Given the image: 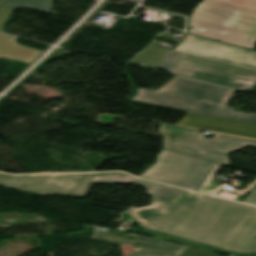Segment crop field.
Returning a JSON list of instances; mask_svg holds the SVG:
<instances>
[{
    "label": "crop field",
    "mask_w": 256,
    "mask_h": 256,
    "mask_svg": "<svg viewBox=\"0 0 256 256\" xmlns=\"http://www.w3.org/2000/svg\"><path fill=\"white\" fill-rule=\"evenodd\" d=\"M172 73L239 90L256 85V72L181 53Z\"/></svg>",
    "instance_id": "6"
},
{
    "label": "crop field",
    "mask_w": 256,
    "mask_h": 256,
    "mask_svg": "<svg viewBox=\"0 0 256 256\" xmlns=\"http://www.w3.org/2000/svg\"><path fill=\"white\" fill-rule=\"evenodd\" d=\"M174 50L256 71V52L187 34Z\"/></svg>",
    "instance_id": "8"
},
{
    "label": "crop field",
    "mask_w": 256,
    "mask_h": 256,
    "mask_svg": "<svg viewBox=\"0 0 256 256\" xmlns=\"http://www.w3.org/2000/svg\"><path fill=\"white\" fill-rule=\"evenodd\" d=\"M216 165L163 149L156 163L140 177L194 191Z\"/></svg>",
    "instance_id": "5"
},
{
    "label": "crop field",
    "mask_w": 256,
    "mask_h": 256,
    "mask_svg": "<svg viewBox=\"0 0 256 256\" xmlns=\"http://www.w3.org/2000/svg\"><path fill=\"white\" fill-rule=\"evenodd\" d=\"M220 164H218L214 170L205 178V180L199 185V187L196 189L197 192L205 193L212 195L216 192V190L219 188L218 186L209 185L212 178L214 177L216 171L218 170Z\"/></svg>",
    "instance_id": "15"
},
{
    "label": "crop field",
    "mask_w": 256,
    "mask_h": 256,
    "mask_svg": "<svg viewBox=\"0 0 256 256\" xmlns=\"http://www.w3.org/2000/svg\"><path fill=\"white\" fill-rule=\"evenodd\" d=\"M233 91L178 77L157 91L139 88L131 102L256 124V114L227 106Z\"/></svg>",
    "instance_id": "2"
},
{
    "label": "crop field",
    "mask_w": 256,
    "mask_h": 256,
    "mask_svg": "<svg viewBox=\"0 0 256 256\" xmlns=\"http://www.w3.org/2000/svg\"><path fill=\"white\" fill-rule=\"evenodd\" d=\"M190 33L254 49L256 12L240 7L202 0L190 19Z\"/></svg>",
    "instance_id": "3"
},
{
    "label": "crop field",
    "mask_w": 256,
    "mask_h": 256,
    "mask_svg": "<svg viewBox=\"0 0 256 256\" xmlns=\"http://www.w3.org/2000/svg\"><path fill=\"white\" fill-rule=\"evenodd\" d=\"M15 41L13 37L0 33V58L30 64L42 53V51L19 46L20 44L17 45Z\"/></svg>",
    "instance_id": "11"
},
{
    "label": "crop field",
    "mask_w": 256,
    "mask_h": 256,
    "mask_svg": "<svg viewBox=\"0 0 256 256\" xmlns=\"http://www.w3.org/2000/svg\"><path fill=\"white\" fill-rule=\"evenodd\" d=\"M5 1H7V0H0V4L3 3V2H5Z\"/></svg>",
    "instance_id": "22"
},
{
    "label": "crop field",
    "mask_w": 256,
    "mask_h": 256,
    "mask_svg": "<svg viewBox=\"0 0 256 256\" xmlns=\"http://www.w3.org/2000/svg\"><path fill=\"white\" fill-rule=\"evenodd\" d=\"M256 252V251H255Z\"/></svg>",
    "instance_id": "23"
},
{
    "label": "crop field",
    "mask_w": 256,
    "mask_h": 256,
    "mask_svg": "<svg viewBox=\"0 0 256 256\" xmlns=\"http://www.w3.org/2000/svg\"><path fill=\"white\" fill-rule=\"evenodd\" d=\"M134 179L122 172L18 176L0 174V185L40 195L84 198L92 184L133 183Z\"/></svg>",
    "instance_id": "4"
},
{
    "label": "crop field",
    "mask_w": 256,
    "mask_h": 256,
    "mask_svg": "<svg viewBox=\"0 0 256 256\" xmlns=\"http://www.w3.org/2000/svg\"><path fill=\"white\" fill-rule=\"evenodd\" d=\"M244 203L256 205V188L247 196Z\"/></svg>",
    "instance_id": "21"
},
{
    "label": "crop field",
    "mask_w": 256,
    "mask_h": 256,
    "mask_svg": "<svg viewBox=\"0 0 256 256\" xmlns=\"http://www.w3.org/2000/svg\"><path fill=\"white\" fill-rule=\"evenodd\" d=\"M252 10H256V0H216Z\"/></svg>",
    "instance_id": "18"
},
{
    "label": "crop field",
    "mask_w": 256,
    "mask_h": 256,
    "mask_svg": "<svg viewBox=\"0 0 256 256\" xmlns=\"http://www.w3.org/2000/svg\"><path fill=\"white\" fill-rule=\"evenodd\" d=\"M94 239L118 244V245H124V244H130L150 249H156L161 251H166L174 254L181 255L182 252L187 248L186 246L176 245L172 243L162 242L138 235L131 234L128 238L108 234L104 232L97 231L95 232V235L93 237Z\"/></svg>",
    "instance_id": "10"
},
{
    "label": "crop field",
    "mask_w": 256,
    "mask_h": 256,
    "mask_svg": "<svg viewBox=\"0 0 256 256\" xmlns=\"http://www.w3.org/2000/svg\"><path fill=\"white\" fill-rule=\"evenodd\" d=\"M136 184L153 197L149 206L127 211L140 227L239 253L256 250V207L142 179Z\"/></svg>",
    "instance_id": "1"
},
{
    "label": "crop field",
    "mask_w": 256,
    "mask_h": 256,
    "mask_svg": "<svg viewBox=\"0 0 256 256\" xmlns=\"http://www.w3.org/2000/svg\"><path fill=\"white\" fill-rule=\"evenodd\" d=\"M166 52L167 49L150 45L142 53L135 55L130 62L156 68L159 67Z\"/></svg>",
    "instance_id": "12"
},
{
    "label": "crop field",
    "mask_w": 256,
    "mask_h": 256,
    "mask_svg": "<svg viewBox=\"0 0 256 256\" xmlns=\"http://www.w3.org/2000/svg\"><path fill=\"white\" fill-rule=\"evenodd\" d=\"M176 125L256 139V125L187 113Z\"/></svg>",
    "instance_id": "9"
},
{
    "label": "crop field",
    "mask_w": 256,
    "mask_h": 256,
    "mask_svg": "<svg viewBox=\"0 0 256 256\" xmlns=\"http://www.w3.org/2000/svg\"><path fill=\"white\" fill-rule=\"evenodd\" d=\"M163 147L171 151L204 158L217 163H222L224 165L230 164L229 160L227 159V154L196 150V149H190V148H184V147H178V146H172V145H166V144H163Z\"/></svg>",
    "instance_id": "13"
},
{
    "label": "crop field",
    "mask_w": 256,
    "mask_h": 256,
    "mask_svg": "<svg viewBox=\"0 0 256 256\" xmlns=\"http://www.w3.org/2000/svg\"><path fill=\"white\" fill-rule=\"evenodd\" d=\"M180 53L174 50H168L165 58L163 59L160 68L171 72L175 62L177 61Z\"/></svg>",
    "instance_id": "16"
},
{
    "label": "crop field",
    "mask_w": 256,
    "mask_h": 256,
    "mask_svg": "<svg viewBox=\"0 0 256 256\" xmlns=\"http://www.w3.org/2000/svg\"><path fill=\"white\" fill-rule=\"evenodd\" d=\"M1 6L11 9L27 7L47 13L50 12V0H9Z\"/></svg>",
    "instance_id": "14"
},
{
    "label": "crop field",
    "mask_w": 256,
    "mask_h": 256,
    "mask_svg": "<svg viewBox=\"0 0 256 256\" xmlns=\"http://www.w3.org/2000/svg\"><path fill=\"white\" fill-rule=\"evenodd\" d=\"M215 255H216V253L205 252V251L197 250V249L190 248V247H188L185 250V252L182 254V256H215Z\"/></svg>",
    "instance_id": "19"
},
{
    "label": "crop field",
    "mask_w": 256,
    "mask_h": 256,
    "mask_svg": "<svg viewBox=\"0 0 256 256\" xmlns=\"http://www.w3.org/2000/svg\"><path fill=\"white\" fill-rule=\"evenodd\" d=\"M11 9H6L0 7V30L3 31L2 26L6 20H8L11 17L12 14Z\"/></svg>",
    "instance_id": "20"
},
{
    "label": "crop field",
    "mask_w": 256,
    "mask_h": 256,
    "mask_svg": "<svg viewBox=\"0 0 256 256\" xmlns=\"http://www.w3.org/2000/svg\"><path fill=\"white\" fill-rule=\"evenodd\" d=\"M129 256H178L158 251H152L142 248H134V250L131 252Z\"/></svg>",
    "instance_id": "17"
},
{
    "label": "crop field",
    "mask_w": 256,
    "mask_h": 256,
    "mask_svg": "<svg viewBox=\"0 0 256 256\" xmlns=\"http://www.w3.org/2000/svg\"><path fill=\"white\" fill-rule=\"evenodd\" d=\"M159 134L164 137V143L231 153L248 145L256 146V140L234 137L215 133L212 139L204 138L206 134L199 130L160 125Z\"/></svg>",
    "instance_id": "7"
}]
</instances>
